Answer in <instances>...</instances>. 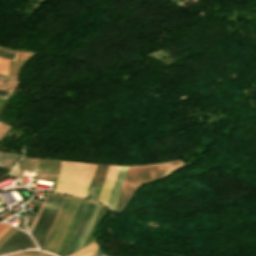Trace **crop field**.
<instances>
[{
    "label": "crop field",
    "instance_id": "7",
    "mask_svg": "<svg viewBox=\"0 0 256 256\" xmlns=\"http://www.w3.org/2000/svg\"><path fill=\"white\" fill-rule=\"evenodd\" d=\"M128 166L120 167L107 206L114 211L116 201Z\"/></svg>",
    "mask_w": 256,
    "mask_h": 256
},
{
    "label": "crop field",
    "instance_id": "11",
    "mask_svg": "<svg viewBox=\"0 0 256 256\" xmlns=\"http://www.w3.org/2000/svg\"><path fill=\"white\" fill-rule=\"evenodd\" d=\"M16 230V228L12 227L1 239L0 245Z\"/></svg>",
    "mask_w": 256,
    "mask_h": 256
},
{
    "label": "crop field",
    "instance_id": "2",
    "mask_svg": "<svg viewBox=\"0 0 256 256\" xmlns=\"http://www.w3.org/2000/svg\"><path fill=\"white\" fill-rule=\"evenodd\" d=\"M79 201V199L75 198H64L41 247L42 249L56 252Z\"/></svg>",
    "mask_w": 256,
    "mask_h": 256
},
{
    "label": "crop field",
    "instance_id": "8",
    "mask_svg": "<svg viewBox=\"0 0 256 256\" xmlns=\"http://www.w3.org/2000/svg\"><path fill=\"white\" fill-rule=\"evenodd\" d=\"M98 206H99V205L97 204L96 207H95V209H94V211H93V213H92V216H91V218H90V220H89V222H88V224H87V226H86V229H85V231H84V233H83V235H82V237H81V240H80V242H79V244H78L76 250L79 249V247H80V245H81V243H82V241H83V239H84V236H85V234H86V232H87V230H88V228H89V225H90V223H91V221H92V219H93V217H94V214H95V212H96ZM95 215H96V214H95ZM90 226H91V225H90ZM76 250H75V251H76Z\"/></svg>",
    "mask_w": 256,
    "mask_h": 256
},
{
    "label": "crop field",
    "instance_id": "13",
    "mask_svg": "<svg viewBox=\"0 0 256 256\" xmlns=\"http://www.w3.org/2000/svg\"><path fill=\"white\" fill-rule=\"evenodd\" d=\"M8 128V126L0 124V138L3 136V134L7 131Z\"/></svg>",
    "mask_w": 256,
    "mask_h": 256
},
{
    "label": "crop field",
    "instance_id": "5",
    "mask_svg": "<svg viewBox=\"0 0 256 256\" xmlns=\"http://www.w3.org/2000/svg\"><path fill=\"white\" fill-rule=\"evenodd\" d=\"M95 205H96L95 203H93L91 201L89 202V204H88V206H87V208L85 210V213H84V215H83V217H82V219L80 221V224H79V226H78V228H77V230H76V232L74 234V237H73V239H72V241H71V243L69 245V248H68L65 256H68L69 254L74 252V250H75V248H76V246H77V244L79 242V239H80V237H81V235H82V233H83V231L85 229V226H86V224H87V222H88V220L90 218V215H91Z\"/></svg>",
    "mask_w": 256,
    "mask_h": 256
},
{
    "label": "crop field",
    "instance_id": "14",
    "mask_svg": "<svg viewBox=\"0 0 256 256\" xmlns=\"http://www.w3.org/2000/svg\"><path fill=\"white\" fill-rule=\"evenodd\" d=\"M9 256H35V255H29V254H23V253H15Z\"/></svg>",
    "mask_w": 256,
    "mask_h": 256
},
{
    "label": "crop field",
    "instance_id": "9",
    "mask_svg": "<svg viewBox=\"0 0 256 256\" xmlns=\"http://www.w3.org/2000/svg\"><path fill=\"white\" fill-rule=\"evenodd\" d=\"M9 60L0 58V73L6 74Z\"/></svg>",
    "mask_w": 256,
    "mask_h": 256
},
{
    "label": "crop field",
    "instance_id": "12",
    "mask_svg": "<svg viewBox=\"0 0 256 256\" xmlns=\"http://www.w3.org/2000/svg\"><path fill=\"white\" fill-rule=\"evenodd\" d=\"M9 93H10L9 90L0 89V98L6 99Z\"/></svg>",
    "mask_w": 256,
    "mask_h": 256
},
{
    "label": "crop field",
    "instance_id": "3",
    "mask_svg": "<svg viewBox=\"0 0 256 256\" xmlns=\"http://www.w3.org/2000/svg\"><path fill=\"white\" fill-rule=\"evenodd\" d=\"M166 165L128 168L116 209H120L133 190L140 184L162 176Z\"/></svg>",
    "mask_w": 256,
    "mask_h": 256
},
{
    "label": "crop field",
    "instance_id": "4",
    "mask_svg": "<svg viewBox=\"0 0 256 256\" xmlns=\"http://www.w3.org/2000/svg\"><path fill=\"white\" fill-rule=\"evenodd\" d=\"M89 201H85V200H81L76 211H75V214L69 224V227L62 239V242L57 250V254L61 255V256H64L67 248H68V245L73 237V234L79 224V221L84 213V210L87 206Z\"/></svg>",
    "mask_w": 256,
    "mask_h": 256
},
{
    "label": "crop field",
    "instance_id": "1",
    "mask_svg": "<svg viewBox=\"0 0 256 256\" xmlns=\"http://www.w3.org/2000/svg\"><path fill=\"white\" fill-rule=\"evenodd\" d=\"M95 166L62 162L55 191L85 197Z\"/></svg>",
    "mask_w": 256,
    "mask_h": 256
},
{
    "label": "crop field",
    "instance_id": "10",
    "mask_svg": "<svg viewBox=\"0 0 256 256\" xmlns=\"http://www.w3.org/2000/svg\"><path fill=\"white\" fill-rule=\"evenodd\" d=\"M12 226H10L7 223L2 222L0 224V238L11 228Z\"/></svg>",
    "mask_w": 256,
    "mask_h": 256
},
{
    "label": "crop field",
    "instance_id": "6",
    "mask_svg": "<svg viewBox=\"0 0 256 256\" xmlns=\"http://www.w3.org/2000/svg\"><path fill=\"white\" fill-rule=\"evenodd\" d=\"M118 168L119 167H113V166L108 167L106 177H105L98 201H101V202L107 204V201H108Z\"/></svg>",
    "mask_w": 256,
    "mask_h": 256
}]
</instances>
